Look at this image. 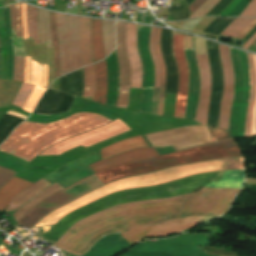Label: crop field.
Segmentation results:
<instances>
[{
    "instance_id": "obj_23",
    "label": "crop field",
    "mask_w": 256,
    "mask_h": 256,
    "mask_svg": "<svg viewBox=\"0 0 256 256\" xmlns=\"http://www.w3.org/2000/svg\"><path fill=\"white\" fill-rule=\"evenodd\" d=\"M42 77V65L31 60V80L30 84L35 85L29 96L27 97L22 109L32 113L34 107L44 93L45 89L40 88Z\"/></svg>"
},
{
    "instance_id": "obj_17",
    "label": "crop field",
    "mask_w": 256,
    "mask_h": 256,
    "mask_svg": "<svg viewBox=\"0 0 256 256\" xmlns=\"http://www.w3.org/2000/svg\"><path fill=\"white\" fill-rule=\"evenodd\" d=\"M219 47L224 75V94L221 100L219 127L228 129V121L230 116L231 101L233 95V72L229 57V47L220 44Z\"/></svg>"
},
{
    "instance_id": "obj_27",
    "label": "crop field",
    "mask_w": 256,
    "mask_h": 256,
    "mask_svg": "<svg viewBox=\"0 0 256 256\" xmlns=\"http://www.w3.org/2000/svg\"><path fill=\"white\" fill-rule=\"evenodd\" d=\"M49 184L48 181L45 179H40L37 182H35L33 185L27 187L22 192H20L9 204L5 212L16 210L19 206H21L24 202L31 199L33 196H35L37 193H39L41 190H43L45 187H47Z\"/></svg>"
},
{
    "instance_id": "obj_51",
    "label": "crop field",
    "mask_w": 256,
    "mask_h": 256,
    "mask_svg": "<svg viewBox=\"0 0 256 256\" xmlns=\"http://www.w3.org/2000/svg\"><path fill=\"white\" fill-rule=\"evenodd\" d=\"M30 79V57L26 56L25 83L29 84Z\"/></svg>"
},
{
    "instance_id": "obj_38",
    "label": "crop field",
    "mask_w": 256,
    "mask_h": 256,
    "mask_svg": "<svg viewBox=\"0 0 256 256\" xmlns=\"http://www.w3.org/2000/svg\"><path fill=\"white\" fill-rule=\"evenodd\" d=\"M4 13H5V24H6V42H7V50H8V75H7V79L12 80L13 49H12V40H11V31H10L9 6L4 8Z\"/></svg>"
},
{
    "instance_id": "obj_49",
    "label": "crop field",
    "mask_w": 256,
    "mask_h": 256,
    "mask_svg": "<svg viewBox=\"0 0 256 256\" xmlns=\"http://www.w3.org/2000/svg\"><path fill=\"white\" fill-rule=\"evenodd\" d=\"M254 57V65H255V71H256V55L253 54ZM251 133L252 135H256V99L255 104L253 107V113H252V123H251ZM255 136H252V138Z\"/></svg>"
},
{
    "instance_id": "obj_32",
    "label": "crop field",
    "mask_w": 256,
    "mask_h": 256,
    "mask_svg": "<svg viewBox=\"0 0 256 256\" xmlns=\"http://www.w3.org/2000/svg\"><path fill=\"white\" fill-rule=\"evenodd\" d=\"M91 38L94 60L100 61L105 58L102 44L101 20L91 19Z\"/></svg>"
},
{
    "instance_id": "obj_39",
    "label": "crop field",
    "mask_w": 256,
    "mask_h": 256,
    "mask_svg": "<svg viewBox=\"0 0 256 256\" xmlns=\"http://www.w3.org/2000/svg\"><path fill=\"white\" fill-rule=\"evenodd\" d=\"M85 72V90L83 97L90 100H94L96 79H95V70L94 64L84 67Z\"/></svg>"
},
{
    "instance_id": "obj_35",
    "label": "crop field",
    "mask_w": 256,
    "mask_h": 256,
    "mask_svg": "<svg viewBox=\"0 0 256 256\" xmlns=\"http://www.w3.org/2000/svg\"><path fill=\"white\" fill-rule=\"evenodd\" d=\"M102 33L105 55L108 56L115 47L114 22L102 20Z\"/></svg>"
},
{
    "instance_id": "obj_57",
    "label": "crop field",
    "mask_w": 256,
    "mask_h": 256,
    "mask_svg": "<svg viewBox=\"0 0 256 256\" xmlns=\"http://www.w3.org/2000/svg\"><path fill=\"white\" fill-rule=\"evenodd\" d=\"M254 43L256 44V41Z\"/></svg>"
},
{
    "instance_id": "obj_42",
    "label": "crop field",
    "mask_w": 256,
    "mask_h": 256,
    "mask_svg": "<svg viewBox=\"0 0 256 256\" xmlns=\"http://www.w3.org/2000/svg\"><path fill=\"white\" fill-rule=\"evenodd\" d=\"M27 21L29 27V37L35 39V43L39 44L38 28H37V9L27 5Z\"/></svg>"
},
{
    "instance_id": "obj_52",
    "label": "crop field",
    "mask_w": 256,
    "mask_h": 256,
    "mask_svg": "<svg viewBox=\"0 0 256 256\" xmlns=\"http://www.w3.org/2000/svg\"><path fill=\"white\" fill-rule=\"evenodd\" d=\"M206 0H195L189 7L191 13L196 11Z\"/></svg>"
},
{
    "instance_id": "obj_25",
    "label": "crop field",
    "mask_w": 256,
    "mask_h": 256,
    "mask_svg": "<svg viewBox=\"0 0 256 256\" xmlns=\"http://www.w3.org/2000/svg\"><path fill=\"white\" fill-rule=\"evenodd\" d=\"M32 183L14 177L0 190V211L4 212L10 201Z\"/></svg>"
},
{
    "instance_id": "obj_26",
    "label": "crop field",
    "mask_w": 256,
    "mask_h": 256,
    "mask_svg": "<svg viewBox=\"0 0 256 256\" xmlns=\"http://www.w3.org/2000/svg\"><path fill=\"white\" fill-rule=\"evenodd\" d=\"M148 146L147 143L142 139L141 136H135L130 139L119 141L113 145L105 147L100 150L101 157L107 158L114 154L122 153L137 147Z\"/></svg>"
},
{
    "instance_id": "obj_10",
    "label": "crop field",
    "mask_w": 256,
    "mask_h": 256,
    "mask_svg": "<svg viewBox=\"0 0 256 256\" xmlns=\"http://www.w3.org/2000/svg\"><path fill=\"white\" fill-rule=\"evenodd\" d=\"M128 130L130 129L121 120L116 119L102 128L83 133L56 144L39 155H60L76 146L83 145L87 147L102 140L120 135Z\"/></svg>"
},
{
    "instance_id": "obj_53",
    "label": "crop field",
    "mask_w": 256,
    "mask_h": 256,
    "mask_svg": "<svg viewBox=\"0 0 256 256\" xmlns=\"http://www.w3.org/2000/svg\"><path fill=\"white\" fill-rule=\"evenodd\" d=\"M47 79H48V69H47V66L43 64V81H42V87H45V88H46Z\"/></svg>"
},
{
    "instance_id": "obj_20",
    "label": "crop field",
    "mask_w": 256,
    "mask_h": 256,
    "mask_svg": "<svg viewBox=\"0 0 256 256\" xmlns=\"http://www.w3.org/2000/svg\"><path fill=\"white\" fill-rule=\"evenodd\" d=\"M153 148H139L134 149L129 152L105 159L103 161L96 162L94 164L89 165V167L95 172H99L104 169L112 168L115 166H119L122 164L143 160L155 156H159Z\"/></svg>"
},
{
    "instance_id": "obj_45",
    "label": "crop field",
    "mask_w": 256,
    "mask_h": 256,
    "mask_svg": "<svg viewBox=\"0 0 256 256\" xmlns=\"http://www.w3.org/2000/svg\"><path fill=\"white\" fill-rule=\"evenodd\" d=\"M32 88H33L32 85H27L22 82L21 88L12 104L22 107L26 97L28 96Z\"/></svg>"
},
{
    "instance_id": "obj_43",
    "label": "crop field",
    "mask_w": 256,
    "mask_h": 256,
    "mask_svg": "<svg viewBox=\"0 0 256 256\" xmlns=\"http://www.w3.org/2000/svg\"><path fill=\"white\" fill-rule=\"evenodd\" d=\"M250 0H233L229 6L218 16L228 17V16H239L242 11L247 7Z\"/></svg>"
},
{
    "instance_id": "obj_55",
    "label": "crop field",
    "mask_w": 256,
    "mask_h": 256,
    "mask_svg": "<svg viewBox=\"0 0 256 256\" xmlns=\"http://www.w3.org/2000/svg\"><path fill=\"white\" fill-rule=\"evenodd\" d=\"M255 40H256V33L242 48L247 49Z\"/></svg>"
},
{
    "instance_id": "obj_46",
    "label": "crop field",
    "mask_w": 256,
    "mask_h": 256,
    "mask_svg": "<svg viewBox=\"0 0 256 256\" xmlns=\"http://www.w3.org/2000/svg\"><path fill=\"white\" fill-rule=\"evenodd\" d=\"M219 0H207L196 12H194L189 18L199 17L205 15L212 7H214Z\"/></svg>"
},
{
    "instance_id": "obj_1",
    "label": "crop field",
    "mask_w": 256,
    "mask_h": 256,
    "mask_svg": "<svg viewBox=\"0 0 256 256\" xmlns=\"http://www.w3.org/2000/svg\"><path fill=\"white\" fill-rule=\"evenodd\" d=\"M242 155L234 139L215 142L160 157L138 161L95 174L103 184L138 174L157 171L170 166L188 164L218 158ZM93 175L39 202L18 222V225L32 228L50 211L103 185Z\"/></svg>"
},
{
    "instance_id": "obj_47",
    "label": "crop field",
    "mask_w": 256,
    "mask_h": 256,
    "mask_svg": "<svg viewBox=\"0 0 256 256\" xmlns=\"http://www.w3.org/2000/svg\"><path fill=\"white\" fill-rule=\"evenodd\" d=\"M242 17H256V0H251L248 7L240 15Z\"/></svg>"
},
{
    "instance_id": "obj_24",
    "label": "crop field",
    "mask_w": 256,
    "mask_h": 256,
    "mask_svg": "<svg viewBox=\"0 0 256 256\" xmlns=\"http://www.w3.org/2000/svg\"><path fill=\"white\" fill-rule=\"evenodd\" d=\"M106 62L108 68V98L106 105L115 107L119 81V68L115 51L106 58Z\"/></svg>"
},
{
    "instance_id": "obj_19",
    "label": "crop field",
    "mask_w": 256,
    "mask_h": 256,
    "mask_svg": "<svg viewBox=\"0 0 256 256\" xmlns=\"http://www.w3.org/2000/svg\"><path fill=\"white\" fill-rule=\"evenodd\" d=\"M197 61L201 72V89L195 120L206 125L211 91L210 70L207 56H197Z\"/></svg>"
},
{
    "instance_id": "obj_8",
    "label": "crop field",
    "mask_w": 256,
    "mask_h": 256,
    "mask_svg": "<svg viewBox=\"0 0 256 256\" xmlns=\"http://www.w3.org/2000/svg\"><path fill=\"white\" fill-rule=\"evenodd\" d=\"M240 190L202 188L186 201L181 217L202 215L216 218L228 210L232 198Z\"/></svg>"
},
{
    "instance_id": "obj_18",
    "label": "crop field",
    "mask_w": 256,
    "mask_h": 256,
    "mask_svg": "<svg viewBox=\"0 0 256 256\" xmlns=\"http://www.w3.org/2000/svg\"><path fill=\"white\" fill-rule=\"evenodd\" d=\"M11 12V24L18 23L19 29V39H20V57H19V39H18V29L17 24L11 25L13 47H14V76L13 80L24 82V66H25V52L23 44V31L20 15V3L10 6Z\"/></svg>"
},
{
    "instance_id": "obj_56",
    "label": "crop field",
    "mask_w": 256,
    "mask_h": 256,
    "mask_svg": "<svg viewBox=\"0 0 256 256\" xmlns=\"http://www.w3.org/2000/svg\"><path fill=\"white\" fill-rule=\"evenodd\" d=\"M1 61H2V55H1V48H0V75H1Z\"/></svg>"
},
{
    "instance_id": "obj_29",
    "label": "crop field",
    "mask_w": 256,
    "mask_h": 256,
    "mask_svg": "<svg viewBox=\"0 0 256 256\" xmlns=\"http://www.w3.org/2000/svg\"><path fill=\"white\" fill-rule=\"evenodd\" d=\"M97 88L95 102L105 105L107 98V68L105 59L95 64Z\"/></svg>"
},
{
    "instance_id": "obj_28",
    "label": "crop field",
    "mask_w": 256,
    "mask_h": 256,
    "mask_svg": "<svg viewBox=\"0 0 256 256\" xmlns=\"http://www.w3.org/2000/svg\"><path fill=\"white\" fill-rule=\"evenodd\" d=\"M89 23L90 19L79 17V37L81 44L83 66L93 62Z\"/></svg>"
},
{
    "instance_id": "obj_54",
    "label": "crop field",
    "mask_w": 256,
    "mask_h": 256,
    "mask_svg": "<svg viewBox=\"0 0 256 256\" xmlns=\"http://www.w3.org/2000/svg\"><path fill=\"white\" fill-rule=\"evenodd\" d=\"M256 25V20L250 24L243 32L242 34L238 37L239 39H242L254 26Z\"/></svg>"
},
{
    "instance_id": "obj_31",
    "label": "crop field",
    "mask_w": 256,
    "mask_h": 256,
    "mask_svg": "<svg viewBox=\"0 0 256 256\" xmlns=\"http://www.w3.org/2000/svg\"><path fill=\"white\" fill-rule=\"evenodd\" d=\"M64 189L56 182L44 189L42 192H40L36 197L29 200L24 206H22L20 209H18L14 214V218L18 222V220L26 213L28 212L34 205H36L39 201L47 198L48 196Z\"/></svg>"
},
{
    "instance_id": "obj_13",
    "label": "crop field",
    "mask_w": 256,
    "mask_h": 256,
    "mask_svg": "<svg viewBox=\"0 0 256 256\" xmlns=\"http://www.w3.org/2000/svg\"><path fill=\"white\" fill-rule=\"evenodd\" d=\"M125 24L116 22L117 55L120 67V91L116 107L127 108L130 87V64L125 43Z\"/></svg>"
},
{
    "instance_id": "obj_11",
    "label": "crop field",
    "mask_w": 256,
    "mask_h": 256,
    "mask_svg": "<svg viewBox=\"0 0 256 256\" xmlns=\"http://www.w3.org/2000/svg\"><path fill=\"white\" fill-rule=\"evenodd\" d=\"M149 27L138 26V46L144 67L143 95L140 112L152 114V95L154 86V64L149 54Z\"/></svg>"
},
{
    "instance_id": "obj_50",
    "label": "crop field",
    "mask_w": 256,
    "mask_h": 256,
    "mask_svg": "<svg viewBox=\"0 0 256 256\" xmlns=\"http://www.w3.org/2000/svg\"><path fill=\"white\" fill-rule=\"evenodd\" d=\"M21 14H22V23L24 30V39L28 38L27 34V21H26V5L21 3Z\"/></svg>"
},
{
    "instance_id": "obj_44",
    "label": "crop field",
    "mask_w": 256,
    "mask_h": 256,
    "mask_svg": "<svg viewBox=\"0 0 256 256\" xmlns=\"http://www.w3.org/2000/svg\"><path fill=\"white\" fill-rule=\"evenodd\" d=\"M54 17H55V14L50 13V27H51L52 38H53L54 59H55V79H56L57 77L60 76V63H59L58 41L56 37Z\"/></svg>"
},
{
    "instance_id": "obj_7",
    "label": "crop field",
    "mask_w": 256,
    "mask_h": 256,
    "mask_svg": "<svg viewBox=\"0 0 256 256\" xmlns=\"http://www.w3.org/2000/svg\"><path fill=\"white\" fill-rule=\"evenodd\" d=\"M56 31L59 40L61 76L82 67L78 37V17L56 13Z\"/></svg>"
},
{
    "instance_id": "obj_22",
    "label": "crop field",
    "mask_w": 256,
    "mask_h": 256,
    "mask_svg": "<svg viewBox=\"0 0 256 256\" xmlns=\"http://www.w3.org/2000/svg\"><path fill=\"white\" fill-rule=\"evenodd\" d=\"M130 247L119 233L107 235L95 243V245L84 256H113Z\"/></svg>"
},
{
    "instance_id": "obj_48",
    "label": "crop field",
    "mask_w": 256,
    "mask_h": 256,
    "mask_svg": "<svg viewBox=\"0 0 256 256\" xmlns=\"http://www.w3.org/2000/svg\"><path fill=\"white\" fill-rule=\"evenodd\" d=\"M16 172H13L11 170L5 169L0 166V187L8 181L10 177H12Z\"/></svg>"
},
{
    "instance_id": "obj_15",
    "label": "crop field",
    "mask_w": 256,
    "mask_h": 256,
    "mask_svg": "<svg viewBox=\"0 0 256 256\" xmlns=\"http://www.w3.org/2000/svg\"><path fill=\"white\" fill-rule=\"evenodd\" d=\"M183 37L173 36V54L179 70V88L174 117L181 119L184 117L189 85V68L184 57Z\"/></svg>"
},
{
    "instance_id": "obj_5",
    "label": "crop field",
    "mask_w": 256,
    "mask_h": 256,
    "mask_svg": "<svg viewBox=\"0 0 256 256\" xmlns=\"http://www.w3.org/2000/svg\"><path fill=\"white\" fill-rule=\"evenodd\" d=\"M243 168V158H229L218 159L188 165H182L171 169L140 175L132 178L116 181L114 183L105 185L96 189L64 206L46 215L35 227L56 224L57 221L67 213L112 192L152 186L156 184L166 183L187 177L197 173L211 172V171H227L239 170Z\"/></svg>"
},
{
    "instance_id": "obj_14",
    "label": "crop field",
    "mask_w": 256,
    "mask_h": 256,
    "mask_svg": "<svg viewBox=\"0 0 256 256\" xmlns=\"http://www.w3.org/2000/svg\"><path fill=\"white\" fill-rule=\"evenodd\" d=\"M201 252L200 247L141 242L121 256H191Z\"/></svg>"
},
{
    "instance_id": "obj_4",
    "label": "crop field",
    "mask_w": 256,
    "mask_h": 256,
    "mask_svg": "<svg viewBox=\"0 0 256 256\" xmlns=\"http://www.w3.org/2000/svg\"><path fill=\"white\" fill-rule=\"evenodd\" d=\"M222 174L223 172L197 174L166 184L112 193L64 216L43 237L56 242L75 222L87 216L119 204L188 194L202 185L219 180Z\"/></svg>"
},
{
    "instance_id": "obj_34",
    "label": "crop field",
    "mask_w": 256,
    "mask_h": 256,
    "mask_svg": "<svg viewBox=\"0 0 256 256\" xmlns=\"http://www.w3.org/2000/svg\"><path fill=\"white\" fill-rule=\"evenodd\" d=\"M21 82L0 79V106L11 105Z\"/></svg>"
},
{
    "instance_id": "obj_16",
    "label": "crop field",
    "mask_w": 256,
    "mask_h": 256,
    "mask_svg": "<svg viewBox=\"0 0 256 256\" xmlns=\"http://www.w3.org/2000/svg\"><path fill=\"white\" fill-rule=\"evenodd\" d=\"M184 44L185 48H192L193 46V49H185L186 60L190 67V86L184 119L194 120L200 89L199 69L195 58L194 37H192L191 46V37L185 35Z\"/></svg>"
},
{
    "instance_id": "obj_36",
    "label": "crop field",
    "mask_w": 256,
    "mask_h": 256,
    "mask_svg": "<svg viewBox=\"0 0 256 256\" xmlns=\"http://www.w3.org/2000/svg\"><path fill=\"white\" fill-rule=\"evenodd\" d=\"M160 32H161V29L158 28L157 36H156V43H155L156 53H157V56L159 58L160 66H161V88H160L158 115H162L164 92H165V83H166L165 64H164V61L162 59V55H161V52H160Z\"/></svg>"
},
{
    "instance_id": "obj_33",
    "label": "crop field",
    "mask_w": 256,
    "mask_h": 256,
    "mask_svg": "<svg viewBox=\"0 0 256 256\" xmlns=\"http://www.w3.org/2000/svg\"><path fill=\"white\" fill-rule=\"evenodd\" d=\"M156 30L157 28L152 27L149 47H150L151 56L155 64V86H160V67H159V62H158V58L156 56L155 47H154ZM158 97H159V87H155L154 95H153V114L155 115H157V110H158Z\"/></svg>"
},
{
    "instance_id": "obj_2",
    "label": "crop field",
    "mask_w": 256,
    "mask_h": 256,
    "mask_svg": "<svg viewBox=\"0 0 256 256\" xmlns=\"http://www.w3.org/2000/svg\"><path fill=\"white\" fill-rule=\"evenodd\" d=\"M193 194L107 209L74 224L54 246L77 256L83 255L96 240L107 234L180 218L184 202Z\"/></svg>"
},
{
    "instance_id": "obj_37",
    "label": "crop field",
    "mask_w": 256,
    "mask_h": 256,
    "mask_svg": "<svg viewBox=\"0 0 256 256\" xmlns=\"http://www.w3.org/2000/svg\"><path fill=\"white\" fill-rule=\"evenodd\" d=\"M250 65V73H251V92H250V100H249V109L248 116L246 121V138H251L250 135V119H251V111L254 103L255 92H256V76L254 72V67L252 63V54L247 53Z\"/></svg>"
},
{
    "instance_id": "obj_12",
    "label": "crop field",
    "mask_w": 256,
    "mask_h": 256,
    "mask_svg": "<svg viewBox=\"0 0 256 256\" xmlns=\"http://www.w3.org/2000/svg\"><path fill=\"white\" fill-rule=\"evenodd\" d=\"M198 224L200 223L194 218L187 217L183 219L167 221L155 226L135 227L121 235L130 243V245H133L134 243L142 240L144 237H164L181 232Z\"/></svg>"
},
{
    "instance_id": "obj_30",
    "label": "crop field",
    "mask_w": 256,
    "mask_h": 256,
    "mask_svg": "<svg viewBox=\"0 0 256 256\" xmlns=\"http://www.w3.org/2000/svg\"><path fill=\"white\" fill-rule=\"evenodd\" d=\"M244 170L225 172L222 179L209 183L205 186L219 188H242Z\"/></svg>"
},
{
    "instance_id": "obj_6",
    "label": "crop field",
    "mask_w": 256,
    "mask_h": 256,
    "mask_svg": "<svg viewBox=\"0 0 256 256\" xmlns=\"http://www.w3.org/2000/svg\"><path fill=\"white\" fill-rule=\"evenodd\" d=\"M230 57L234 71V96L229 122L233 137L245 138V121L250 92V74L246 52L231 49Z\"/></svg>"
},
{
    "instance_id": "obj_41",
    "label": "crop field",
    "mask_w": 256,
    "mask_h": 256,
    "mask_svg": "<svg viewBox=\"0 0 256 256\" xmlns=\"http://www.w3.org/2000/svg\"><path fill=\"white\" fill-rule=\"evenodd\" d=\"M255 19L237 18L221 34L237 38V36Z\"/></svg>"
},
{
    "instance_id": "obj_21",
    "label": "crop field",
    "mask_w": 256,
    "mask_h": 256,
    "mask_svg": "<svg viewBox=\"0 0 256 256\" xmlns=\"http://www.w3.org/2000/svg\"><path fill=\"white\" fill-rule=\"evenodd\" d=\"M126 43L132 72L131 88H141L142 66L137 50L136 27L134 24L127 23Z\"/></svg>"
},
{
    "instance_id": "obj_3",
    "label": "crop field",
    "mask_w": 256,
    "mask_h": 256,
    "mask_svg": "<svg viewBox=\"0 0 256 256\" xmlns=\"http://www.w3.org/2000/svg\"><path fill=\"white\" fill-rule=\"evenodd\" d=\"M111 120L93 113H75L48 124L25 121L0 146L1 151L30 162L42 150L74 135L106 125Z\"/></svg>"
},
{
    "instance_id": "obj_9",
    "label": "crop field",
    "mask_w": 256,
    "mask_h": 256,
    "mask_svg": "<svg viewBox=\"0 0 256 256\" xmlns=\"http://www.w3.org/2000/svg\"><path fill=\"white\" fill-rule=\"evenodd\" d=\"M145 136L153 147L172 145L176 151L210 143L208 138H211L206 126L180 128Z\"/></svg>"
},
{
    "instance_id": "obj_40",
    "label": "crop field",
    "mask_w": 256,
    "mask_h": 256,
    "mask_svg": "<svg viewBox=\"0 0 256 256\" xmlns=\"http://www.w3.org/2000/svg\"><path fill=\"white\" fill-rule=\"evenodd\" d=\"M39 28L41 44L45 42V33L47 37V47H52L51 32L49 28V12L39 9Z\"/></svg>"
}]
</instances>
